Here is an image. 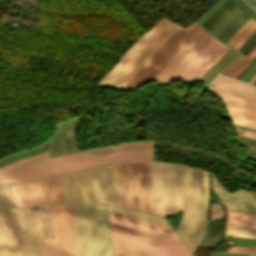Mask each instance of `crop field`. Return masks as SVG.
<instances>
[{"mask_svg":"<svg viewBox=\"0 0 256 256\" xmlns=\"http://www.w3.org/2000/svg\"><path fill=\"white\" fill-rule=\"evenodd\" d=\"M117 167L123 207L154 214L147 162Z\"/></svg>","mask_w":256,"mask_h":256,"instance_id":"8","label":"crop field"},{"mask_svg":"<svg viewBox=\"0 0 256 256\" xmlns=\"http://www.w3.org/2000/svg\"><path fill=\"white\" fill-rule=\"evenodd\" d=\"M255 31L256 22L251 19L231 37L226 45L238 50L240 45Z\"/></svg>","mask_w":256,"mask_h":256,"instance_id":"20","label":"crop field"},{"mask_svg":"<svg viewBox=\"0 0 256 256\" xmlns=\"http://www.w3.org/2000/svg\"><path fill=\"white\" fill-rule=\"evenodd\" d=\"M211 84H216L215 88L251 96L256 98V88L241 82L218 75Z\"/></svg>","mask_w":256,"mask_h":256,"instance_id":"18","label":"crop field"},{"mask_svg":"<svg viewBox=\"0 0 256 256\" xmlns=\"http://www.w3.org/2000/svg\"><path fill=\"white\" fill-rule=\"evenodd\" d=\"M9 188L12 207L17 208L25 206L22 184L9 185Z\"/></svg>","mask_w":256,"mask_h":256,"instance_id":"26","label":"crop field"},{"mask_svg":"<svg viewBox=\"0 0 256 256\" xmlns=\"http://www.w3.org/2000/svg\"><path fill=\"white\" fill-rule=\"evenodd\" d=\"M44 238H53L49 204L40 206Z\"/></svg>","mask_w":256,"mask_h":256,"instance_id":"25","label":"crop field"},{"mask_svg":"<svg viewBox=\"0 0 256 256\" xmlns=\"http://www.w3.org/2000/svg\"><path fill=\"white\" fill-rule=\"evenodd\" d=\"M225 235L237 237H256V225L226 224Z\"/></svg>","mask_w":256,"mask_h":256,"instance_id":"23","label":"crop field"},{"mask_svg":"<svg viewBox=\"0 0 256 256\" xmlns=\"http://www.w3.org/2000/svg\"><path fill=\"white\" fill-rule=\"evenodd\" d=\"M0 255L35 256L29 207L11 210L7 185H0Z\"/></svg>","mask_w":256,"mask_h":256,"instance_id":"5","label":"crop field"},{"mask_svg":"<svg viewBox=\"0 0 256 256\" xmlns=\"http://www.w3.org/2000/svg\"><path fill=\"white\" fill-rule=\"evenodd\" d=\"M30 210H31L34 240H35V246H36L35 247L36 255L37 256H45L39 206H38V208H35V209H33V206H31Z\"/></svg>","mask_w":256,"mask_h":256,"instance_id":"19","label":"crop field"},{"mask_svg":"<svg viewBox=\"0 0 256 256\" xmlns=\"http://www.w3.org/2000/svg\"><path fill=\"white\" fill-rule=\"evenodd\" d=\"M54 239H44L46 256H80L74 205L50 204Z\"/></svg>","mask_w":256,"mask_h":256,"instance_id":"9","label":"crop field"},{"mask_svg":"<svg viewBox=\"0 0 256 256\" xmlns=\"http://www.w3.org/2000/svg\"><path fill=\"white\" fill-rule=\"evenodd\" d=\"M236 133L238 135H242V136H246V137H250V138H254L256 139V133L252 132V131H248V130H244V129H240V128H236Z\"/></svg>","mask_w":256,"mask_h":256,"instance_id":"33","label":"crop field"},{"mask_svg":"<svg viewBox=\"0 0 256 256\" xmlns=\"http://www.w3.org/2000/svg\"><path fill=\"white\" fill-rule=\"evenodd\" d=\"M245 16H246V14H245L243 17H245ZM243 17H242V18H243ZM242 18H241V19H242ZM241 19H240V20H241ZM240 20H239V21H240ZM239 21H237L235 24H237ZM235 24H234V25H235ZM234 25H233V26H234ZM233 26H232V27H233ZM232 27H231V28H232ZM231 28H230V29H231ZM230 29H229V30H230ZM229 30H228V31H229ZM228 31H227V32H228ZM227 32H226V33H227ZM226 33H225V34H226ZM223 37H224V36H223ZM223 37H222V38H223ZM222 38H221V39H222ZM221 39H220V41H221Z\"/></svg>","mask_w":256,"mask_h":256,"instance_id":"38","label":"crop field"},{"mask_svg":"<svg viewBox=\"0 0 256 256\" xmlns=\"http://www.w3.org/2000/svg\"><path fill=\"white\" fill-rule=\"evenodd\" d=\"M81 256H112L105 205H75Z\"/></svg>","mask_w":256,"mask_h":256,"instance_id":"6","label":"crop field"},{"mask_svg":"<svg viewBox=\"0 0 256 256\" xmlns=\"http://www.w3.org/2000/svg\"><path fill=\"white\" fill-rule=\"evenodd\" d=\"M180 208L186 216L175 230L193 252L205 232L207 220L208 173L198 169L175 165Z\"/></svg>","mask_w":256,"mask_h":256,"instance_id":"2","label":"crop field"},{"mask_svg":"<svg viewBox=\"0 0 256 256\" xmlns=\"http://www.w3.org/2000/svg\"><path fill=\"white\" fill-rule=\"evenodd\" d=\"M212 192L224 207L256 213V194L238 190L234 194L227 193L210 175Z\"/></svg>","mask_w":256,"mask_h":256,"instance_id":"15","label":"crop field"},{"mask_svg":"<svg viewBox=\"0 0 256 256\" xmlns=\"http://www.w3.org/2000/svg\"><path fill=\"white\" fill-rule=\"evenodd\" d=\"M154 211L167 216L180 211L174 165L148 162Z\"/></svg>","mask_w":256,"mask_h":256,"instance_id":"10","label":"crop field"},{"mask_svg":"<svg viewBox=\"0 0 256 256\" xmlns=\"http://www.w3.org/2000/svg\"><path fill=\"white\" fill-rule=\"evenodd\" d=\"M110 227L182 243L175 233L109 218ZM183 244V243H182Z\"/></svg>","mask_w":256,"mask_h":256,"instance_id":"17","label":"crop field"},{"mask_svg":"<svg viewBox=\"0 0 256 256\" xmlns=\"http://www.w3.org/2000/svg\"><path fill=\"white\" fill-rule=\"evenodd\" d=\"M256 248L249 247H231L227 252L252 253Z\"/></svg>","mask_w":256,"mask_h":256,"instance_id":"31","label":"crop field"},{"mask_svg":"<svg viewBox=\"0 0 256 256\" xmlns=\"http://www.w3.org/2000/svg\"><path fill=\"white\" fill-rule=\"evenodd\" d=\"M153 142L132 143L49 158L47 151L0 168V184L38 179L106 164L152 160Z\"/></svg>","mask_w":256,"mask_h":256,"instance_id":"1","label":"crop field"},{"mask_svg":"<svg viewBox=\"0 0 256 256\" xmlns=\"http://www.w3.org/2000/svg\"><path fill=\"white\" fill-rule=\"evenodd\" d=\"M249 17H248V15L244 18V19H242L237 25H235L227 34H226V36L223 38V40L221 41V42H225L226 41V39L238 28V27H240L247 19H248Z\"/></svg>","mask_w":256,"mask_h":256,"instance_id":"34","label":"crop field"},{"mask_svg":"<svg viewBox=\"0 0 256 256\" xmlns=\"http://www.w3.org/2000/svg\"><path fill=\"white\" fill-rule=\"evenodd\" d=\"M256 79V76L249 82L250 84H252Z\"/></svg>","mask_w":256,"mask_h":256,"instance_id":"40","label":"crop field"},{"mask_svg":"<svg viewBox=\"0 0 256 256\" xmlns=\"http://www.w3.org/2000/svg\"><path fill=\"white\" fill-rule=\"evenodd\" d=\"M256 54V47L246 56L240 55L230 66H228L220 74L235 78L237 74L248 64L252 57Z\"/></svg>","mask_w":256,"mask_h":256,"instance_id":"21","label":"crop field"},{"mask_svg":"<svg viewBox=\"0 0 256 256\" xmlns=\"http://www.w3.org/2000/svg\"><path fill=\"white\" fill-rule=\"evenodd\" d=\"M250 256H256V253H254V254H252V255H250Z\"/></svg>","mask_w":256,"mask_h":256,"instance_id":"41","label":"crop field"},{"mask_svg":"<svg viewBox=\"0 0 256 256\" xmlns=\"http://www.w3.org/2000/svg\"><path fill=\"white\" fill-rule=\"evenodd\" d=\"M255 40H256V32H255L254 34H252V35L241 45V47L239 48V51H241V52L243 53ZM255 42H256V41H255ZM255 42H254V43H255ZM254 43H253V44H254ZM253 44H252V45H253ZM255 44H256V43H255ZM255 44H254V45H255ZM252 45H251V46H252ZM254 45H253V46H254ZM251 46L243 53V55L251 48ZM253 46H252V47H253ZM255 46H256V45H255ZM255 46H254V47H255ZM254 47H253V48H254ZM253 48H252V49H253ZM252 49H251V50H252ZM251 50H250V51H251ZM250 51H249V52H250ZM249 52H248V53H249ZM245 55H246V54H245ZM245 55H244V56H245Z\"/></svg>","mask_w":256,"mask_h":256,"instance_id":"28","label":"crop field"},{"mask_svg":"<svg viewBox=\"0 0 256 256\" xmlns=\"http://www.w3.org/2000/svg\"><path fill=\"white\" fill-rule=\"evenodd\" d=\"M201 26L179 27L122 89H136L148 83Z\"/></svg>","mask_w":256,"mask_h":256,"instance_id":"11","label":"crop field"},{"mask_svg":"<svg viewBox=\"0 0 256 256\" xmlns=\"http://www.w3.org/2000/svg\"><path fill=\"white\" fill-rule=\"evenodd\" d=\"M231 119L234 124H238V125L256 129V122H254V121H250V120H246V119H242V118H238V117H234V116H231Z\"/></svg>","mask_w":256,"mask_h":256,"instance_id":"29","label":"crop field"},{"mask_svg":"<svg viewBox=\"0 0 256 256\" xmlns=\"http://www.w3.org/2000/svg\"><path fill=\"white\" fill-rule=\"evenodd\" d=\"M26 206L64 203L61 176L23 184Z\"/></svg>","mask_w":256,"mask_h":256,"instance_id":"13","label":"crop field"},{"mask_svg":"<svg viewBox=\"0 0 256 256\" xmlns=\"http://www.w3.org/2000/svg\"><path fill=\"white\" fill-rule=\"evenodd\" d=\"M249 19H250V18H249ZM249 19H248V20H249ZM248 20H247V21H248ZM247 21H246V22H247ZM246 22H245V23H246ZM245 23H244V24H245ZM244 24H243V25H244ZM243 25H242V26H243ZM242 26H241V27H242ZM241 27H240V28H241ZM238 29H239V28H238ZM238 29H237V30H238ZM237 30H236V31H237ZM236 31H235V32H236ZM235 32H234V33H235ZM234 33H233V34H234ZM233 34H232V35H233ZM232 35H231V36H232ZM231 36H230V37H231ZM227 39H228V38H227ZM227 39H226V40H227ZM228 40H229V39H228ZM228 40H227V41H228ZM227 41H226V42H227ZM226 42H225V43H226ZM225 43H224V44H225Z\"/></svg>","mask_w":256,"mask_h":256,"instance_id":"39","label":"crop field"},{"mask_svg":"<svg viewBox=\"0 0 256 256\" xmlns=\"http://www.w3.org/2000/svg\"><path fill=\"white\" fill-rule=\"evenodd\" d=\"M237 5L233 2L232 4H230L226 9H224L219 16L221 17H225L228 13H230ZM222 20V18L220 17H216L205 29L207 31H211L220 21Z\"/></svg>","mask_w":256,"mask_h":256,"instance_id":"27","label":"crop field"},{"mask_svg":"<svg viewBox=\"0 0 256 256\" xmlns=\"http://www.w3.org/2000/svg\"><path fill=\"white\" fill-rule=\"evenodd\" d=\"M62 180L65 203H108L122 207L116 164L64 175Z\"/></svg>","mask_w":256,"mask_h":256,"instance_id":"3","label":"crop field"},{"mask_svg":"<svg viewBox=\"0 0 256 256\" xmlns=\"http://www.w3.org/2000/svg\"><path fill=\"white\" fill-rule=\"evenodd\" d=\"M224 219L211 220L209 224L223 225ZM207 231L223 232V226L209 225Z\"/></svg>","mask_w":256,"mask_h":256,"instance_id":"30","label":"crop field"},{"mask_svg":"<svg viewBox=\"0 0 256 256\" xmlns=\"http://www.w3.org/2000/svg\"><path fill=\"white\" fill-rule=\"evenodd\" d=\"M107 207H108V211H110V212H115V213H120V214H124V215L134 216V217H138V218H142V219H146V220H151V221H155V222H159V223H163V224L168 225L165 218L160 217V216L146 214V213L137 212V211L128 210V209L119 208V207H114V206H110V205H108Z\"/></svg>","mask_w":256,"mask_h":256,"instance_id":"24","label":"crop field"},{"mask_svg":"<svg viewBox=\"0 0 256 256\" xmlns=\"http://www.w3.org/2000/svg\"><path fill=\"white\" fill-rule=\"evenodd\" d=\"M212 38L201 27L151 81L164 78L175 79Z\"/></svg>","mask_w":256,"mask_h":256,"instance_id":"12","label":"crop field"},{"mask_svg":"<svg viewBox=\"0 0 256 256\" xmlns=\"http://www.w3.org/2000/svg\"><path fill=\"white\" fill-rule=\"evenodd\" d=\"M227 211L228 215L226 223L256 224V214L246 213L232 209H227Z\"/></svg>","mask_w":256,"mask_h":256,"instance_id":"22","label":"crop field"},{"mask_svg":"<svg viewBox=\"0 0 256 256\" xmlns=\"http://www.w3.org/2000/svg\"><path fill=\"white\" fill-rule=\"evenodd\" d=\"M179 26L162 19L144 34L96 87L121 89Z\"/></svg>","mask_w":256,"mask_h":256,"instance_id":"4","label":"crop field"},{"mask_svg":"<svg viewBox=\"0 0 256 256\" xmlns=\"http://www.w3.org/2000/svg\"><path fill=\"white\" fill-rule=\"evenodd\" d=\"M227 49L213 38L176 79L198 81Z\"/></svg>","mask_w":256,"mask_h":256,"instance_id":"14","label":"crop field"},{"mask_svg":"<svg viewBox=\"0 0 256 256\" xmlns=\"http://www.w3.org/2000/svg\"><path fill=\"white\" fill-rule=\"evenodd\" d=\"M232 2V0H228L226 3H224L202 26L205 28L212 19H214L224 8H226Z\"/></svg>","mask_w":256,"mask_h":256,"instance_id":"32","label":"crop field"},{"mask_svg":"<svg viewBox=\"0 0 256 256\" xmlns=\"http://www.w3.org/2000/svg\"><path fill=\"white\" fill-rule=\"evenodd\" d=\"M245 13H241L239 16H237L216 38L219 40L224 33L237 21L239 20Z\"/></svg>","mask_w":256,"mask_h":256,"instance_id":"35","label":"crop field"},{"mask_svg":"<svg viewBox=\"0 0 256 256\" xmlns=\"http://www.w3.org/2000/svg\"><path fill=\"white\" fill-rule=\"evenodd\" d=\"M256 9V0H247Z\"/></svg>","mask_w":256,"mask_h":256,"instance_id":"37","label":"crop field"},{"mask_svg":"<svg viewBox=\"0 0 256 256\" xmlns=\"http://www.w3.org/2000/svg\"><path fill=\"white\" fill-rule=\"evenodd\" d=\"M236 1L240 4V6H241L244 10H246V9L248 8L253 14L256 15V13H255L244 1L240 0L247 8H246L239 0H236ZM248 9H247L246 11L256 20V16L253 15Z\"/></svg>","mask_w":256,"mask_h":256,"instance_id":"36","label":"crop field"},{"mask_svg":"<svg viewBox=\"0 0 256 256\" xmlns=\"http://www.w3.org/2000/svg\"><path fill=\"white\" fill-rule=\"evenodd\" d=\"M114 256H191L185 245L110 228Z\"/></svg>","mask_w":256,"mask_h":256,"instance_id":"7","label":"crop field"},{"mask_svg":"<svg viewBox=\"0 0 256 256\" xmlns=\"http://www.w3.org/2000/svg\"><path fill=\"white\" fill-rule=\"evenodd\" d=\"M212 95L221 99L231 115L256 121V99L213 88Z\"/></svg>","mask_w":256,"mask_h":256,"instance_id":"16","label":"crop field"}]
</instances>
